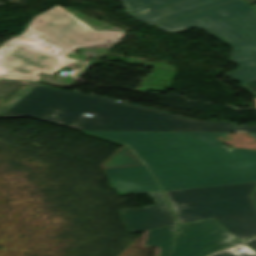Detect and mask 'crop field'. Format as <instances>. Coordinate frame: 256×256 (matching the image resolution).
<instances>
[{"label": "crop field", "mask_w": 256, "mask_h": 256, "mask_svg": "<svg viewBox=\"0 0 256 256\" xmlns=\"http://www.w3.org/2000/svg\"><path fill=\"white\" fill-rule=\"evenodd\" d=\"M136 20L156 26L175 18L204 10L231 0H122ZM148 12L143 14L141 10Z\"/></svg>", "instance_id": "7"}, {"label": "crop field", "mask_w": 256, "mask_h": 256, "mask_svg": "<svg viewBox=\"0 0 256 256\" xmlns=\"http://www.w3.org/2000/svg\"><path fill=\"white\" fill-rule=\"evenodd\" d=\"M254 8H255V10H256V5H254Z\"/></svg>", "instance_id": "19"}, {"label": "crop field", "mask_w": 256, "mask_h": 256, "mask_svg": "<svg viewBox=\"0 0 256 256\" xmlns=\"http://www.w3.org/2000/svg\"><path fill=\"white\" fill-rule=\"evenodd\" d=\"M254 199H255V201H256V191H255V194H254Z\"/></svg>", "instance_id": "18"}, {"label": "crop field", "mask_w": 256, "mask_h": 256, "mask_svg": "<svg viewBox=\"0 0 256 256\" xmlns=\"http://www.w3.org/2000/svg\"><path fill=\"white\" fill-rule=\"evenodd\" d=\"M176 227L177 225L149 230L145 247L160 245L162 247L160 256H168L173 247Z\"/></svg>", "instance_id": "12"}, {"label": "crop field", "mask_w": 256, "mask_h": 256, "mask_svg": "<svg viewBox=\"0 0 256 256\" xmlns=\"http://www.w3.org/2000/svg\"><path fill=\"white\" fill-rule=\"evenodd\" d=\"M245 1H247L248 3H251V4L256 3V0H245Z\"/></svg>", "instance_id": "17"}, {"label": "crop field", "mask_w": 256, "mask_h": 256, "mask_svg": "<svg viewBox=\"0 0 256 256\" xmlns=\"http://www.w3.org/2000/svg\"><path fill=\"white\" fill-rule=\"evenodd\" d=\"M89 133L128 144L163 191L256 181V151L231 150L214 139L227 133Z\"/></svg>", "instance_id": "1"}, {"label": "crop field", "mask_w": 256, "mask_h": 256, "mask_svg": "<svg viewBox=\"0 0 256 256\" xmlns=\"http://www.w3.org/2000/svg\"><path fill=\"white\" fill-rule=\"evenodd\" d=\"M213 256H216V255H213Z\"/></svg>", "instance_id": "20"}, {"label": "crop field", "mask_w": 256, "mask_h": 256, "mask_svg": "<svg viewBox=\"0 0 256 256\" xmlns=\"http://www.w3.org/2000/svg\"><path fill=\"white\" fill-rule=\"evenodd\" d=\"M86 113L92 118L84 116ZM2 117H30L82 131L256 132V126L198 122L135 104L42 86L33 89Z\"/></svg>", "instance_id": "2"}, {"label": "crop field", "mask_w": 256, "mask_h": 256, "mask_svg": "<svg viewBox=\"0 0 256 256\" xmlns=\"http://www.w3.org/2000/svg\"><path fill=\"white\" fill-rule=\"evenodd\" d=\"M247 246H249L251 249H253L256 252V239L246 243Z\"/></svg>", "instance_id": "16"}, {"label": "crop field", "mask_w": 256, "mask_h": 256, "mask_svg": "<svg viewBox=\"0 0 256 256\" xmlns=\"http://www.w3.org/2000/svg\"><path fill=\"white\" fill-rule=\"evenodd\" d=\"M150 195L157 203L154 206L122 212L131 232L176 224L163 193L156 192Z\"/></svg>", "instance_id": "8"}, {"label": "crop field", "mask_w": 256, "mask_h": 256, "mask_svg": "<svg viewBox=\"0 0 256 256\" xmlns=\"http://www.w3.org/2000/svg\"><path fill=\"white\" fill-rule=\"evenodd\" d=\"M143 165L137 157L125 146L104 164L103 168H115V167H129Z\"/></svg>", "instance_id": "13"}, {"label": "crop field", "mask_w": 256, "mask_h": 256, "mask_svg": "<svg viewBox=\"0 0 256 256\" xmlns=\"http://www.w3.org/2000/svg\"><path fill=\"white\" fill-rule=\"evenodd\" d=\"M244 250L245 252L241 253L238 250ZM217 256H256V253L251 250L249 247L246 245H242L237 248H233L227 251H223L217 254Z\"/></svg>", "instance_id": "14"}, {"label": "crop field", "mask_w": 256, "mask_h": 256, "mask_svg": "<svg viewBox=\"0 0 256 256\" xmlns=\"http://www.w3.org/2000/svg\"><path fill=\"white\" fill-rule=\"evenodd\" d=\"M254 183L165 192L180 224L213 218L241 242L256 236Z\"/></svg>", "instance_id": "4"}, {"label": "crop field", "mask_w": 256, "mask_h": 256, "mask_svg": "<svg viewBox=\"0 0 256 256\" xmlns=\"http://www.w3.org/2000/svg\"><path fill=\"white\" fill-rule=\"evenodd\" d=\"M238 240L213 219L182 224L170 256H206L240 243Z\"/></svg>", "instance_id": "6"}, {"label": "crop field", "mask_w": 256, "mask_h": 256, "mask_svg": "<svg viewBox=\"0 0 256 256\" xmlns=\"http://www.w3.org/2000/svg\"><path fill=\"white\" fill-rule=\"evenodd\" d=\"M38 84L0 80V117Z\"/></svg>", "instance_id": "10"}, {"label": "crop field", "mask_w": 256, "mask_h": 256, "mask_svg": "<svg viewBox=\"0 0 256 256\" xmlns=\"http://www.w3.org/2000/svg\"><path fill=\"white\" fill-rule=\"evenodd\" d=\"M44 22L31 26V30L44 35L43 44L56 46L60 50L56 55L34 50L16 43L1 58L0 65L5 73L0 79L38 81L39 72L53 75L65 64L78 61L63 57L75 47L120 39L119 31H96L73 16L59 5L39 15Z\"/></svg>", "instance_id": "3"}, {"label": "crop field", "mask_w": 256, "mask_h": 256, "mask_svg": "<svg viewBox=\"0 0 256 256\" xmlns=\"http://www.w3.org/2000/svg\"><path fill=\"white\" fill-rule=\"evenodd\" d=\"M201 19L209 21L202 22ZM156 27L171 33L193 27L203 29L233 48L229 61L237 64L238 69L226 73L227 77L241 85L256 79V12L247 3L234 0Z\"/></svg>", "instance_id": "5"}, {"label": "crop field", "mask_w": 256, "mask_h": 256, "mask_svg": "<svg viewBox=\"0 0 256 256\" xmlns=\"http://www.w3.org/2000/svg\"><path fill=\"white\" fill-rule=\"evenodd\" d=\"M120 194L161 191L145 166L106 170Z\"/></svg>", "instance_id": "9"}, {"label": "crop field", "mask_w": 256, "mask_h": 256, "mask_svg": "<svg viewBox=\"0 0 256 256\" xmlns=\"http://www.w3.org/2000/svg\"><path fill=\"white\" fill-rule=\"evenodd\" d=\"M43 22L42 19L38 16L34 18V20L30 23L29 27L27 28L26 32L24 33L23 36L17 37L11 41H9L7 44L3 45L0 48V58L4 52H6L12 45H14L16 42L23 43L29 47L43 50L46 52L54 53L56 54L59 49L51 46H46L43 45L40 41L43 38V35L37 33V32H32L29 28L33 24L41 23ZM0 72H3V70L0 67Z\"/></svg>", "instance_id": "11"}, {"label": "crop field", "mask_w": 256, "mask_h": 256, "mask_svg": "<svg viewBox=\"0 0 256 256\" xmlns=\"http://www.w3.org/2000/svg\"><path fill=\"white\" fill-rule=\"evenodd\" d=\"M244 87H245L247 90L251 91L254 96H256V92H254V91L252 90L253 88L256 87V80H254V81H252V82H250V83L244 85Z\"/></svg>", "instance_id": "15"}]
</instances>
